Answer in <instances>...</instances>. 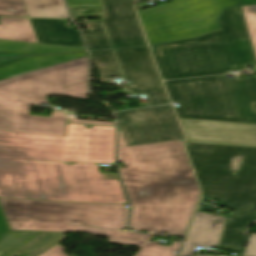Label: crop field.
Masks as SVG:
<instances>
[{"instance_id": "crop-field-1", "label": "crop field", "mask_w": 256, "mask_h": 256, "mask_svg": "<svg viewBox=\"0 0 256 256\" xmlns=\"http://www.w3.org/2000/svg\"><path fill=\"white\" fill-rule=\"evenodd\" d=\"M115 127L68 124L67 136L0 131V196L91 203H127L119 180H103L114 163Z\"/></svg>"}, {"instance_id": "crop-field-2", "label": "crop field", "mask_w": 256, "mask_h": 256, "mask_svg": "<svg viewBox=\"0 0 256 256\" xmlns=\"http://www.w3.org/2000/svg\"><path fill=\"white\" fill-rule=\"evenodd\" d=\"M119 171L138 231L184 236L200 190L182 140L127 147L119 129Z\"/></svg>"}, {"instance_id": "crop-field-3", "label": "crop field", "mask_w": 256, "mask_h": 256, "mask_svg": "<svg viewBox=\"0 0 256 256\" xmlns=\"http://www.w3.org/2000/svg\"><path fill=\"white\" fill-rule=\"evenodd\" d=\"M203 194L236 210L221 250L244 253L256 213V148L187 143Z\"/></svg>"}, {"instance_id": "crop-field-4", "label": "crop field", "mask_w": 256, "mask_h": 256, "mask_svg": "<svg viewBox=\"0 0 256 256\" xmlns=\"http://www.w3.org/2000/svg\"><path fill=\"white\" fill-rule=\"evenodd\" d=\"M89 59L79 58L0 81V130L66 135V114L29 115V105L47 104V94L88 99Z\"/></svg>"}, {"instance_id": "crop-field-5", "label": "crop field", "mask_w": 256, "mask_h": 256, "mask_svg": "<svg viewBox=\"0 0 256 256\" xmlns=\"http://www.w3.org/2000/svg\"><path fill=\"white\" fill-rule=\"evenodd\" d=\"M221 31L151 47L164 79L232 73L256 60L239 7L224 10Z\"/></svg>"}, {"instance_id": "crop-field-6", "label": "crop field", "mask_w": 256, "mask_h": 256, "mask_svg": "<svg viewBox=\"0 0 256 256\" xmlns=\"http://www.w3.org/2000/svg\"><path fill=\"white\" fill-rule=\"evenodd\" d=\"M0 204L11 230L87 232L109 238L108 242L139 246L149 235L134 232H118L79 226L70 223L80 221L84 225L119 230L126 227L129 209L125 204H91L26 200L0 197Z\"/></svg>"}, {"instance_id": "crop-field-7", "label": "crop field", "mask_w": 256, "mask_h": 256, "mask_svg": "<svg viewBox=\"0 0 256 256\" xmlns=\"http://www.w3.org/2000/svg\"><path fill=\"white\" fill-rule=\"evenodd\" d=\"M180 117L256 123V77L224 76L165 82Z\"/></svg>"}, {"instance_id": "crop-field-8", "label": "crop field", "mask_w": 256, "mask_h": 256, "mask_svg": "<svg viewBox=\"0 0 256 256\" xmlns=\"http://www.w3.org/2000/svg\"><path fill=\"white\" fill-rule=\"evenodd\" d=\"M239 4V0H172L139 12L153 44L216 31L220 11Z\"/></svg>"}, {"instance_id": "crop-field-9", "label": "crop field", "mask_w": 256, "mask_h": 256, "mask_svg": "<svg viewBox=\"0 0 256 256\" xmlns=\"http://www.w3.org/2000/svg\"><path fill=\"white\" fill-rule=\"evenodd\" d=\"M128 146L184 139L172 106L116 113Z\"/></svg>"}, {"instance_id": "crop-field-10", "label": "crop field", "mask_w": 256, "mask_h": 256, "mask_svg": "<svg viewBox=\"0 0 256 256\" xmlns=\"http://www.w3.org/2000/svg\"><path fill=\"white\" fill-rule=\"evenodd\" d=\"M81 51L86 49L0 40V58ZM86 55V53H78L0 59V79Z\"/></svg>"}, {"instance_id": "crop-field-11", "label": "crop field", "mask_w": 256, "mask_h": 256, "mask_svg": "<svg viewBox=\"0 0 256 256\" xmlns=\"http://www.w3.org/2000/svg\"><path fill=\"white\" fill-rule=\"evenodd\" d=\"M126 80L133 92L149 95L151 105L169 103L148 47L115 50Z\"/></svg>"}, {"instance_id": "crop-field-12", "label": "crop field", "mask_w": 256, "mask_h": 256, "mask_svg": "<svg viewBox=\"0 0 256 256\" xmlns=\"http://www.w3.org/2000/svg\"><path fill=\"white\" fill-rule=\"evenodd\" d=\"M180 119L187 142L256 147V124Z\"/></svg>"}, {"instance_id": "crop-field-13", "label": "crop field", "mask_w": 256, "mask_h": 256, "mask_svg": "<svg viewBox=\"0 0 256 256\" xmlns=\"http://www.w3.org/2000/svg\"><path fill=\"white\" fill-rule=\"evenodd\" d=\"M104 23L114 48L148 45L132 0H103Z\"/></svg>"}, {"instance_id": "crop-field-14", "label": "crop field", "mask_w": 256, "mask_h": 256, "mask_svg": "<svg viewBox=\"0 0 256 256\" xmlns=\"http://www.w3.org/2000/svg\"><path fill=\"white\" fill-rule=\"evenodd\" d=\"M225 217L197 212L180 256H191L195 246L217 248Z\"/></svg>"}, {"instance_id": "crop-field-15", "label": "crop field", "mask_w": 256, "mask_h": 256, "mask_svg": "<svg viewBox=\"0 0 256 256\" xmlns=\"http://www.w3.org/2000/svg\"><path fill=\"white\" fill-rule=\"evenodd\" d=\"M40 43L85 48L80 33L62 20L30 19Z\"/></svg>"}, {"instance_id": "crop-field-16", "label": "crop field", "mask_w": 256, "mask_h": 256, "mask_svg": "<svg viewBox=\"0 0 256 256\" xmlns=\"http://www.w3.org/2000/svg\"><path fill=\"white\" fill-rule=\"evenodd\" d=\"M0 23V39L39 43L29 19L0 18Z\"/></svg>"}, {"instance_id": "crop-field-17", "label": "crop field", "mask_w": 256, "mask_h": 256, "mask_svg": "<svg viewBox=\"0 0 256 256\" xmlns=\"http://www.w3.org/2000/svg\"><path fill=\"white\" fill-rule=\"evenodd\" d=\"M30 17H69L63 0H24Z\"/></svg>"}, {"instance_id": "crop-field-18", "label": "crop field", "mask_w": 256, "mask_h": 256, "mask_svg": "<svg viewBox=\"0 0 256 256\" xmlns=\"http://www.w3.org/2000/svg\"><path fill=\"white\" fill-rule=\"evenodd\" d=\"M66 238L64 233L44 232L11 256H38Z\"/></svg>"}, {"instance_id": "crop-field-19", "label": "crop field", "mask_w": 256, "mask_h": 256, "mask_svg": "<svg viewBox=\"0 0 256 256\" xmlns=\"http://www.w3.org/2000/svg\"><path fill=\"white\" fill-rule=\"evenodd\" d=\"M91 56L101 80L116 75L122 76L112 50L91 52Z\"/></svg>"}, {"instance_id": "crop-field-20", "label": "crop field", "mask_w": 256, "mask_h": 256, "mask_svg": "<svg viewBox=\"0 0 256 256\" xmlns=\"http://www.w3.org/2000/svg\"><path fill=\"white\" fill-rule=\"evenodd\" d=\"M87 25L89 30L83 33L90 50L111 48L101 21Z\"/></svg>"}, {"instance_id": "crop-field-21", "label": "crop field", "mask_w": 256, "mask_h": 256, "mask_svg": "<svg viewBox=\"0 0 256 256\" xmlns=\"http://www.w3.org/2000/svg\"><path fill=\"white\" fill-rule=\"evenodd\" d=\"M154 243L155 242H149L140 248L134 256H176L177 253L173 252L178 251L181 246V242L176 241H172L170 246Z\"/></svg>"}, {"instance_id": "crop-field-22", "label": "crop field", "mask_w": 256, "mask_h": 256, "mask_svg": "<svg viewBox=\"0 0 256 256\" xmlns=\"http://www.w3.org/2000/svg\"><path fill=\"white\" fill-rule=\"evenodd\" d=\"M0 16L29 17L23 0H0Z\"/></svg>"}, {"instance_id": "crop-field-23", "label": "crop field", "mask_w": 256, "mask_h": 256, "mask_svg": "<svg viewBox=\"0 0 256 256\" xmlns=\"http://www.w3.org/2000/svg\"><path fill=\"white\" fill-rule=\"evenodd\" d=\"M242 8L256 51V5L242 6Z\"/></svg>"}, {"instance_id": "crop-field-24", "label": "crop field", "mask_w": 256, "mask_h": 256, "mask_svg": "<svg viewBox=\"0 0 256 256\" xmlns=\"http://www.w3.org/2000/svg\"><path fill=\"white\" fill-rule=\"evenodd\" d=\"M70 7H102L100 0H67Z\"/></svg>"}, {"instance_id": "crop-field-25", "label": "crop field", "mask_w": 256, "mask_h": 256, "mask_svg": "<svg viewBox=\"0 0 256 256\" xmlns=\"http://www.w3.org/2000/svg\"><path fill=\"white\" fill-rule=\"evenodd\" d=\"M243 256H256V234L251 233Z\"/></svg>"}, {"instance_id": "crop-field-26", "label": "crop field", "mask_w": 256, "mask_h": 256, "mask_svg": "<svg viewBox=\"0 0 256 256\" xmlns=\"http://www.w3.org/2000/svg\"><path fill=\"white\" fill-rule=\"evenodd\" d=\"M65 250L66 249L57 244L54 247L47 250L46 252H44L43 254H41L40 256H67L66 254L63 253V251Z\"/></svg>"}, {"instance_id": "crop-field-27", "label": "crop field", "mask_w": 256, "mask_h": 256, "mask_svg": "<svg viewBox=\"0 0 256 256\" xmlns=\"http://www.w3.org/2000/svg\"><path fill=\"white\" fill-rule=\"evenodd\" d=\"M70 122H78V123H93V124H108V125H116L115 123L111 122H101V121H92V120H82L77 119L75 115H69Z\"/></svg>"}, {"instance_id": "crop-field-28", "label": "crop field", "mask_w": 256, "mask_h": 256, "mask_svg": "<svg viewBox=\"0 0 256 256\" xmlns=\"http://www.w3.org/2000/svg\"><path fill=\"white\" fill-rule=\"evenodd\" d=\"M9 231L4 215L0 208V238Z\"/></svg>"}, {"instance_id": "crop-field-29", "label": "crop field", "mask_w": 256, "mask_h": 256, "mask_svg": "<svg viewBox=\"0 0 256 256\" xmlns=\"http://www.w3.org/2000/svg\"><path fill=\"white\" fill-rule=\"evenodd\" d=\"M104 179H119L117 173L102 172Z\"/></svg>"}, {"instance_id": "crop-field-30", "label": "crop field", "mask_w": 256, "mask_h": 256, "mask_svg": "<svg viewBox=\"0 0 256 256\" xmlns=\"http://www.w3.org/2000/svg\"><path fill=\"white\" fill-rule=\"evenodd\" d=\"M203 256H209V255H203Z\"/></svg>"}]
</instances>
